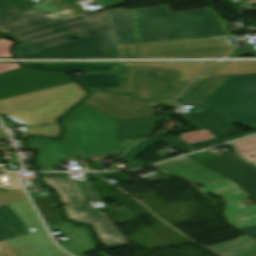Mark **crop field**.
<instances>
[{"mask_svg": "<svg viewBox=\"0 0 256 256\" xmlns=\"http://www.w3.org/2000/svg\"><path fill=\"white\" fill-rule=\"evenodd\" d=\"M239 231L245 233L246 235H248L251 238H253L254 240H256V226L239 229Z\"/></svg>", "mask_w": 256, "mask_h": 256, "instance_id": "41", "label": "crop field"}, {"mask_svg": "<svg viewBox=\"0 0 256 256\" xmlns=\"http://www.w3.org/2000/svg\"><path fill=\"white\" fill-rule=\"evenodd\" d=\"M203 165L229 177L256 200V167L238 159L235 154Z\"/></svg>", "mask_w": 256, "mask_h": 256, "instance_id": "11", "label": "crop field"}, {"mask_svg": "<svg viewBox=\"0 0 256 256\" xmlns=\"http://www.w3.org/2000/svg\"><path fill=\"white\" fill-rule=\"evenodd\" d=\"M69 1L74 2V1H78V0H69Z\"/></svg>", "mask_w": 256, "mask_h": 256, "instance_id": "45", "label": "crop field"}, {"mask_svg": "<svg viewBox=\"0 0 256 256\" xmlns=\"http://www.w3.org/2000/svg\"><path fill=\"white\" fill-rule=\"evenodd\" d=\"M61 2L66 7L57 3ZM84 11L67 0H46L22 13L0 2V31L16 33L34 49L109 30L107 11L84 16ZM105 17L106 21L97 18ZM59 21L56 23L54 21Z\"/></svg>", "mask_w": 256, "mask_h": 256, "instance_id": "2", "label": "crop field"}, {"mask_svg": "<svg viewBox=\"0 0 256 256\" xmlns=\"http://www.w3.org/2000/svg\"><path fill=\"white\" fill-rule=\"evenodd\" d=\"M154 141L145 139L134 146L130 151H128L121 159L125 160L126 163L132 168H138L142 166H146V164L134 159L141 152H143L147 147H149Z\"/></svg>", "mask_w": 256, "mask_h": 256, "instance_id": "29", "label": "crop field"}, {"mask_svg": "<svg viewBox=\"0 0 256 256\" xmlns=\"http://www.w3.org/2000/svg\"><path fill=\"white\" fill-rule=\"evenodd\" d=\"M0 256H19L14 249L5 241H0Z\"/></svg>", "mask_w": 256, "mask_h": 256, "instance_id": "40", "label": "crop field"}, {"mask_svg": "<svg viewBox=\"0 0 256 256\" xmlns=\"http://www.w3.org/2000/svg\"><path fill=\"white\" fill-rule=\"evenodd\" d=\"M111 30L34 50L18 45V57L119 58L116 44L229 35L217 13L199 9L170 13L169 5L147 9L108 10Z\"/></svg>", "mask_w": 256, "mask_h": 256, "instance_id": "1", "label": "crop field"}, {"mask_svg": "<svg viewBox=\"0 0 256 256\" xmlns=\"http://www.w3.org/2000/svg\"><path fill=\"white\" fill-rule=\"evenodd\" d=\"M217 110L235 124L256 121V101L217 108Z\"/></svg>", "mask_w": 256, "mask_h": 256, "instance_id": "23", "label": "crop field"}, {"mask_svg": "<svg viewBox=\"0 0 256 256\" xmlns=\"http://www.w3.org/2000/svg\"><path fill=\"white\" fill-rule=\"evenodd\" d=\"M250 256H256V253H255V254H253V255H250Z\"/></svg>", "mask_w": 256, "mask_h": 256, "instance_id": "46", "label": "crop field"}, {"mask_svg": "<svg viewBox=\"0 0 256 256\" xmlns=\"http://www.w3.org/2000/svg\"><path fill=\"white\" fill-rule=\"evenodd\" d=\"M14 248L21 256H68L54 243H34Z\"/></svg>", "mask_w": 256, "mask_h": 256, "instance_id": "25", "label": "crop field"}, {"mask_svg": "<svg viewBox=\"0 0 256 256\" xmlns=\"http://www.w3.org/2000/svg\"><path fill=\"white\" fill-rule=\"evenodd\" d=\"M86 92L75 82L33 93L0 99V114L29 126L22 136L58 137L55 120L80 101Z\"/></svg>", "mask_w": 256, "mask_h": 256, "instance_id": "4", "label": "crop field"}, {"mask_svg": "<svg viewBox=\"0 0 256 256\" xmlns=\"http://www.w3.org/2000/svg\"><path fill=\"white\" fill-rule=\"evenodd\" d=\"M215 62H129L125 66H149L181 71L179 81L192 80Z\"/></svg>", "mask_w": 256, "mask_h": 256, "instance_id": "16", "label": "crop field"}, {"mask_svg": "<svg viewBox=\"0 0 256 256\" xmlns=\"http://www.w3.org/2000/svg\"><path fill=\"white\" fill-rule=\"evenodd\" d=\"M20 67L17 63H0V73Z\"/></svg>", "mask_w": 256, "mask_h": 256, "instance_id": "42", "label": "crop field"}, {"mask_svg": "<svg viewBox=\"0 0 256 256\" xmlns=\"http://www.w3.org/2000/svg\"><path fill=\"white\" fill-rule=\"evenodd\" d=\"M104 1L106 2L108 8L124 4V0H104Z\"/></svg>", "mask_w": 256, "mask_h": 256, "instance_id": "43", "label": "crop field"}, {"mask_svg": "<svg viewBox=\"0 0 256 256\" xmlns=\"http://www.w3.org/2000/svg\"><path fill=\"white\" fill-rule=\"evenodd\" d=\"M180 72L149 68L128 67L123 88L111 89L113 93H125L142 100L159 97L175 98L190 82H179Z\"/></svg>", "mask_w": 256, "mask_h": 256, "instance_id": "6", "label": "crop field"}, {"mask_svg": "<svg viewBox=\"0 0 256 256\" xmlns=\"http://www.w3.org/2000/svg\"><path fill=\"white\" fill-rule=\"evenodd\" d=\"M229 77L195 80L178 100L201 105Z\"/></svg>", "mask_w": 256, "mask_h": 256, "instance_id": "19", "label": "crop field"}, {"mask_svg": "<svg viewBox=\"0 0 256 256\" xmlns=\"http://www.w3.org/2000/svg\"><path fill=\"white\" fill-rule=\"evenodd\" d=\"M180 117L196 129L207 128L217 137L238 132L231 124L213 110L182 115Z\"/></svg>", "mask_w": 256, "mask_h": 256, "instance_id": "14", "label": "crop field"}, {"mask_svg": "<svg viewBox=\"0 0 256 256\" xmlns=\"http://www.w3.org/2000/svg\"><path fill=\"white\" fill-rule=\"evenodd\" d=\"M55 228H58L67 236L70 242L62 243L61 245L72 253L81 256L80 253L95 248L88 235L87 228L81 227L74 229L70 222H63L49 227L50 230Z\"/></svg>", "mask_w": 256, "mask_h": 256, "instance_id": "15", "label": "crop field"}, {"mask_svg": "<svg viewBox=\"0 0 256 256\" xmlns=\"http://www.w3.org/2000/svg\"><path fill=\"white\" fill-rule=\"evenodd\" d=\"M256 73V61L220 62L198 79Z\"/></svg>", "mask_w": 256, "mask_h": 256, "instance_id": "20", "label": "crop field"}, {"mask_svg": "<svg viewBox=\"0 0 256 256\" xmlns=\"http://www.w3.org/2000/svg\"><path fill=\"white\" fill-rule=\"evenodd\" d=\"M125 74L126 67L122 63L116 72L88 74L76 79L90 90L110 89L123 87Z\"/></svg>", "mask_w": 256, "mask_h": 256, "instance_id": "17", "label": "crop field"}, {"mask_svg": "<svg viewBox=\"0 0 256 256\" xmlns=\"http://www.w3.org/2000/svg\"><path fill=\"white\" fill-rule=\"evenodd\" d=\"M234 145L236 146L242 157L256 164V136L234 142ZM251 155H254L255 158L251 159L249 157Z\"/></svg>", "mask_w": 256, "mask_h": 256, "instance_id": "30", "label": "crop field"}, {"mask_svg": "<svg viewBox=\"0 0 256 256\" xmlns=\"http://www.w3.org/2000/svg\"><path fill=\"white\" fill-rule=\"evenodd\" d=\"M156 166L166 172L189 179L193 183L203 186L227 180L225 177L201 166L186 156Z\"/></svg>", "mask_w": 256, "mask_h": 256, "instance_id": "12", "label": "crop field"}, {"mask_svg": "<svg viewBox=\"0 0 256 256\" xmlns=\"http://www.w3.org/2000/svg\"><path fill=\"white\" fill-rule=\"evenodd\" d=\"M209 248L222 256H247L256 252V242L244 235Z\"/></svg>", "mask_w": 256, "mask_h": 256, "instance_id": "21", "label": "crop field"}, {"mask_svg": "<svg viewBox=\"0 0 256 256\" xmlns=\"http://www.w3.org/2000/svg\"><path fill=\"white\" fill-rule=\"evenodd\" d=\"M33 201L39 208V210H40L43 218L47 222L48 226L63 222L62 219L58 218L59 214H60V209L55 208V204L52 203L49 196L34 199Z\"/></svg>", "mask_w": 256, "mask_h": 256, "instance_id": "27", "label": "crop field"}, {"mask_svg": "<svg viewBox=\"0 0 256 256\" xmlns=\"http://www.w3.org/2000/svg\"><path fill=\"white\" fill-rule=\"evenodd\" d=\"M67 219L90 223L96 230L103 246L111 250L128 244L123 236L104 217V215L84 205L63 206Z\"/></svg>", "mask_w": 256, "mask_h": 256, "instance_id": "10", "label": "crop field"}, {"mask_svg": "<svg viewBox=\"0 0 256 256\" xmlns=\"http://www.w3.org/2000/svg\"><path fill=\"white\" fill-rule=\"evenodd\" d=\"M15 231L4 221L0 219V240L17 237Z\"/></svg>", "mask_w": 256, "mask_h": 256, "instance_id": "38", "label": "crop field"}, {"mask_svg": "<svg viewBox=\"0 0 256 256\" xmlns=\"http://www.w3.org/2000/svg\"><path fill=\"white\" fill-rule=\"evenodd\" d=\"M256 100V83L220 87L204 104L223 107Z\"/></svg>", "mask_w": 256, "mask_h": 256, "instance_id": "13", "label": "crop field"}, {"mask_svg": "<svg viewBox=\"0 0 256 256\" xmlns=\"http://www.w3.org/2000/svg\"><path fill=\"white\" fill-rule=\"evenodd\" d=\"M179 138L188 143H193V142L212 139L214 138V136L207 129H202V130L182 133L180 134Z\"/></svg>", "mask_w": 256, "mask_h": 256, "instance_id": "33", "label": "crop field"}, {"mask_svg": "<svg viewBox=\"0 0 256 256\" xmlns=\"http://www.w3.org/2000/svg\"><path fill=\"white\" fill-rule=\"evenodd\" d=\"M14 44V41H10L4 37L0 38V57H12L9 49Z\"/></svg>", "mask_w": 256, "mask_h": 256, "instance_id": "39", "label": "crop field"}, {"mask_svg": "<svg viewBox=\"0 0 256 256\" xmlns=\"http://www.w3.org/2000/svg\"><path fill=\"white\" fill-rule=\"evenodd\" d=\"M73 80L66 74L19 69L0 74V98L60 85Z\"/></svg>", "mask_w": 256, "mask_h": 256, "instance_id": "8", "label": "crop field"}, {"mask_svg": "<svg viewBox=\"0 0 256 256\" xmlns=\"http://www.w3.org/2000/svg\"><path fill=\"white\" fill-rule=\"evenodd\" d=\"M224 198L227 223L236 229L256 225V206L246 208L238 199L248 197L237 185L227 180L200 188Z\"/></svg>", "mask_w": 256, "mask_h": 256, "instance_id": "9", "label": "crop field"}, {"mask_svg": "<svg viewBox=\"0 0 256 256\" xmlns=\"http://www.w3.org/2000/svg\"><path fill=\"white\" fill-rule=\"evenodd\" d=\"M23 65L35 67H47L65 69L71 71L98 72L115 70L120 63H22Z\"/></svg>", "mask_w": 256, "mask_h": 256, "instance_id": "22", "label": "crop field"}, {"mask_svg": "<svg viewBox=\"0 0 256 256\" xmlns=\"http://www.w3.org/2000/svg\"><path fill=\"white\" fill-rule=\"evenodd\" d=\"M0 218L7 222L17 232L19 236L29 234L25 224L9 208L8 205L0 207Z\"/></svg>", "mask_w": 256, "mask_h": 256, "instance_id": "28", "label": "crop field"}, {"mask_svg": "<svg viewBox=\"0 0 256 256\" xmlns=\"http://www.w3.org/2000/svg\"><path fill=\"white\" fill-rule=\"evenodd\" d=\"M26 196L22 189H11L5 193L0 192V206L26 200Z\"/></svg>", "mask_w": 256, "mask_h": 256, "instance_id": "34", "label": "crop field"}, {"mask_svg": "<svg viewBox=\"0 0 256 256\" xmlns=\"http://www.w3.org/2000/svg\"><path fill=\"white\" fill-rule=\"evenodd\" d=\"M7 242L13 247L34 242H51V240L49 239L46 232L43 231L35 234H29L13 239H8Z\"/></svg>", "mask_w": 256, "mask_h": 256, "instance_id": "31", "label": "crop field"}, {"mask_svg": "<svg viewBox=\"0 0 256 256\" xmlns=\"http://www.w3.org/2000/svg\"><path fill=\"white\" fill-rule=\"evenodd\" d=\"M247 82H256V74L230 77L222 85L247 83Z\"/></svg>", "mask_w": 256, "mask_h": 256, "instance_id": "37", "label": "crop field"}, {"mask_svg": "<svg viewBox=\"0 0 256 256\" xmlns=\"http://www.w3.org/2000/svg\"><path fill=\"white\" fill-rule=\"evenodd\" d=\"M246 135H250V134L248 133V134H244V135L231 136V137H227V138H224V139L215 138V139L204 141V142L193 143L192 146H193L194 150L196 151V150H199V149H202V148H206V147L218 144V143H222V142L232 140V139H235V138H239V137H243V136H246Z\"/></svg>", "mask_w": 256, "mask_h": 256, "instance_id": "36", "label": "crop field"}, {"mask_svg": "<svg viewBox=\"0 0 256 256\" xmlns=\"http://www.w3.org/2000/svg\"><path fill=\"white\" fill-rule=\"evenodd\" d=\"M84 198L101 197L99 190H92L91 181L76 182Z\"/></svg>", "mask_w": 256, "mask_h": 256, "instance_id": "35", "label": "crop field"}, {"mask_svg": "<svg viewBox=\"0 0 256 256\" xmlns=\"http://www.w3.org/2000/svg\"><path fill=\"white\" fill-rule=\"evenodd\" d=\"M235 37L237 36L149 42L117 45V48L121 58L223 57L234 46L229 44L228 39Z\"/></svg>", "mask_w": 256, "mask_h": 256, "instance_id": "5", "label": "crop field"}, {"mask_svg": "<svg viewBox=\"0 0 256 256\" xmlns=\"http://www.w3.org/2000/svg\"><path fill=\"white\" fill-rule=\"evenodd\" d=\"M10 208L19 216V218L27 225V229L35 228L37 231H43L44 228L39 221L36 213L31 207L29 201H23L9 205ZM31 232V233H35Z\"/></svg>", "mask_w": 256, "mask_h": 256, "instance_id": "26", "label": "crop field"}, {"mask_svg": "<svg viewBox=\"0 0 256 256\" xmlns=\"http://www.w3.org/2000/svg\"><path fill=\"white\" fill-rule=\"evenodd\" d=\"M149 139L157 141V142H161V143H163L181 153H184V154L191 152V150L188 148V146L185 142L179 140L178 138H176L172 135L153 137V138H149Z\"/></svg>", "mask_w": 256, "mask_h": 256, "instance_id": "32", "label": "crop field"}, {"mask_svg": "<svg viewBox=\"0 0 256 256\" xmlns=\"http://www.w3.org/2000/svg\"><path fill=\"white\" fill-rule=\"evenodd\" d=\"M169 107H176L172 99L158 101ZM82 103L97 109L117 120L153 116L152 108L156 102H142L126 95L114 96L106 92H92Z\"/></svg>", "mask_w": 256, "mask_h": 256, "instance_id": "7", "label": "crop field"}, {"mask_svg": "<svg viewBox=\"0 0 256 256\" xmlns=\"http://www.w3.org/2000/svg\"><path fill=\"white\" fill-rule=\"evenodd\" d=\"M41 180L59 193L62 204L82 203L70 178H41Z\"/></svg>", "mask_w": 256, "mask_h": 256, "instance_id": "24", "label": "crop field"}, {"mask_svg": "<svg viewBox=\"0 0 256 256\" xmlns=\"http://www.w3.org/2000/svg\"><path fill=\"white\" fill-rule=\"evenodd\" d=\"M64 141L33 138L28 147L39 150L37 159L42 171L63 158L95 157L122 154L139 139L117 141V121L83 104L62 121Z\"/></svg>", "mask_w": 256, "mask_h": 256, "instance_id": "3", "label": "crop field"}, {"mask_svg": "<svg viewBox=\"0 0 256 256\" xmlns=\"http://www.w3.org/2000/svg\"><path fill=\"white\" fill-rule=\"evenodd\" d=\"M168 117L170 115L119 121V140L149 136L158 120Z\"/></svg>", "mask_w": 256, "mask_h": 256, "instance_id": "18", "label": "crop field"}, {"mask_svg": "<svg viewBox=\"0 0 256 256\" xmlns=\"http://www.w3.org/2000/svg\"><path fill=\"white\" fill-rule=\"evenodd\" d=\"M0 140H10L8 136H0ZM0 150H14L13 147H0Z\"/></svg>", "mask_w": 256, "mask_h": 256, "instance_id": "44", "label": "crop field"}]
</instances>
